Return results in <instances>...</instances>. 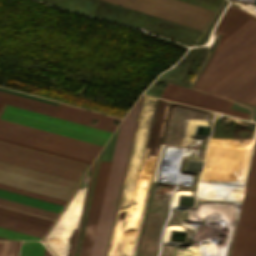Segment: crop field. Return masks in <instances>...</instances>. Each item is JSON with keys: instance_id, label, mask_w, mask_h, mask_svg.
Here are the masks:
<instances>
[{"instance_id": "crop-field-1", "label": "crop field", "mask_w": 256, "mask_h": 256, "mask_svg": "<svg viewBox=\"0 0 256 256\" xmlns=\"http://www.w3.org/2000/svg\"><path fill=\"white\" fill-rule=\"evenodd\" d=\"M217 46L195 88L256 106V18L231 6Z\"/></svg>"}, {"instance_id": "crop-field-2", "label": "crop field", "mask_w": 256, "mask_h": 256, "mask_svg": "<svg viewBox=\"0 0 256 256\" xmlns=\"http://www.w3.org/2000/svg\"><path fill=\"white\" fill-rule=\"evenodd\" d=\"M0 101L53 114L57 106L0 91ZM0 118L49 132L104 145L111 132L2 104ZM0 120V137L93 161L102 146Z\"/></svg>"}, {"instance_id": "crop-field-3", "label": "crop field", "mask_w": 256, "mask_h": 256, "mask_svg": "<svg viewBox=\"0 0 256 256\" xmlns=\"http://www.w3.org/2000/svg\"><path fill=\"white\" fill-rule=\"evenodd\" d=\"M141 97L120 126L91 256H105L106 253Z\"/></svg>"}, {"instance_id": "crop-field-4", "label": "crop field", "mask_w": 256, "mask_h": 256, "mask_svg": "<svg viewBox=\"0 0 256 256\" xmlns=\"http://www.w3.org/2000/svg\"><path fill=\"white\" fill-rule=\"evenodd\" d=\"M0 161L79 182L89 164L0 141Z\"/></svg>"}, {"instance_id": "crop-field-5", "label": "crop field", "mask_w": 256, "mask_h": 256, "mask_svg": "<svg viewBox=\"0 0 256 256\" xmlns=\"http://www.w3.org/2000/svg\"><path fill=\"white\" fill-rule=\"evenodd\" d=\"M203 30L214 11L178 0H107Z\"/></svg>"}, {"instance_id": "crop-field-6", "label": "crop field", "mask_w": 256, "mask_h": 256, "mask_svg": "<svg viewBox=\"0 0 256 256\" xmlns=\"http://www.w3.org/2000/svg\"><path fill=\"white\" fill-rule=\"evenodd\" d=\"M0 182L68 200L77 182L0 162Z\"/></svg>"}, {"instance_id": "crop-field-7", "label": "crop field", "mask_w": 256, "mask_h": 256, "mask_svg": "<svg viewBox=\"0 0 256 256\" xmlns=\"http://www.w3.org/2000/svg\"><path fill=\"white\" fill-rule=\"evenodd\" d=\"M240 215L256 218V148ZM240 216L231 256H255L256 220Z\"/></svg>"}, {"instance_id": "crop-field-8", "label": "crop field", "mask_w": 256, "mask_h": 256, "mask_svg": "<svg viewBox=\"0 0 256 256\" xmlns=\"http://www.w3.org/2000/svg\"><path fill=\"white\" fill-rule=\"evenodd\" d=\"M159 98L176 101L188 105H193L209 110H214L247 119L248 113L230 109L232 102L221 98L205 94L200 91L172 85L167 83V87L162 88Z\"/></svg>"}, {"instance_id": "crop-field-9", "label": "crop field", "mask_w": 256, "mask_h": 256, "mask_svg": "<svg viewBox=\"0 0 256 256\" xmlns=\"http://www.w3.org/2000/svg\"><path fill=\"white\" fill-rule=\"evenodd\" d=\"M111 162L101 161L79 256H90Z\"/></svg>"}, {"instance_id": "crop-field-10", "label": "crop field", "mask_w": 256, "mask_h": 256, "mask_svg": "<svg viewBox=\"0 0 256 256\" xmlns=\"http://www.w3.org/2000/svg\"><path fill=\"white\" fill-rule=\"evenodd\" d=\"M53 117L69 120L72 122H76V123H80L88 126H92L89 124L91 118L97 119L99 121L92 127L111 131V132H113V130L116 127V125L112 124L111 121L113 119L120 121V119L104 116L101 114L81 110L78 108H74V107H70L62 104H60V106L54 113Z\"/></svg>"}, {"instance_id": "crop-field-11", "label": "crop field", "mask_w": 256, "mask_h": 256, "mask_svg": "<svg viewBox=\"0 0 256 256\" xmlns=\"http://www.w3.org/2000/svg\"><path fill=\"white\" fill-rule=\"evenodd\" d=\"M0 227L10 230L18 231L21 233L29 234L32 236L40 237L48 230V226L24 221L21 219L5 216L0 214Z\"/></svg>"}, {"instance_id": "crop-field-12", "label": "crop field", "mask_w": 256, "mask_h": 256, "mask_svg": "<svg viewBox=\"0 0 256 256\" xmlns=\"http://www.w3.org/2000/svg\"><path fill=\"white\" fill-rule=\"evenodd\" d=\"M0 197L5 198V199H9V200H13V201H16V202L28 204V205H31V206L43 208V209H46V210L58 212V213H60V211L63 207L62 205L50 203V202H47V201L35 199V198H32V197L16 194V193L1 190V189H0Z\"/></svg>"}, {"instance_id": "crop-field-13", "label": "crop field", "mask_w": 256, "mask_h": 256, "mask_svg": "<svg viewBox=\"0 0 256 256\" xmlns=\"http://www.w3.org/2000/svg\"><path fill=\"white\" fill-rule=\"evenodd\" d=\"M0 188L1 189H5V190H9V191H13V192H16V193L32 196V197H35V198L47 200V201H50V202L62 204V205H64L65 202H66V200H62V199L50 197V196H47V195H43V194L27 191V190H24V189L8 186V185L1 184V183H0Z\"/></svg>"}, {"instance_id": "crop-field-14", "label": "crop field", "mask_w": 256, "mask_h": 256, "mask_svg": "<svg viewBox=\"0 0 256 256\" xmlns=\"http://www.w3.org/2000/svg\"><path fill=\"white\" fill-rule=\"evenodd\" d=\"M24 243L25 241L23 242L20 256H22ZM44 250L45 247L41 242L26 241L23 256H43Z\"/></svg>"}, {"instance_id": "crop-field-15", "label": "crop field", "mask_w": 256, "mask_h": 256, "mask_svg": "<svg viewBox=\"0 0 256 256\" xmlns=\"http://www.w3.org/2000/svg\"><path fill=\"white\" fill-rule=\"evenodd\" d=\"M0 203L8 205V206H12V207L20 208V209H23V210L39 213V214H42V215L54 217V218H56L58 216V213L46 211V210H43V209L31 207V206H28V205L16 203V202L5 200V199H1V198H0Z\"/></svg>"}, {"instance_id": "crop-field-16", "label": "crop field", "mask_w": 256, "mask_h": 256, "mask_svg": "<svg viewBox=\"0 0 256 256\" xmlns=\"http://www.w3.org/2000/svg\"><path fill=\"white\" fill-rule=\"evenodd\" d=\"M0 213L6 214V215H9V216H13V217H17V218H21V219H25V220H29V221H32V222L48 225V226H50L52 224V221L36 218V217H33V216L21 214V213H18V212H14V211L2 209V208H0Z\"/></svg>"}, {"instance_id": "crop-field-17", "label": "crop field", "mask_w": 256, "mask_h": 256, "mask_svg": "<svg viewBox=\"0 0 256 256\" xmlns=\"http://www.w3.org/2000/svg\"><path fill=\"white\" fill-rule=\"evenodd\" d=\"M0 236L9 239H19V240H40V238L28 236L25 234L13 232L10 230L0 228Z\"/></svg>"}, {"instance_id": "crop-field-18", "label": "crop field", "mask_w": 256, "mask_h": 256, "mask_svg": "<svg viewBox=\"0 0 256 256\" xmlns=\"http://www.w3.org/2000/svg\"><path fill=\"white\" fill-rule=\"evenodd\" d=\"M0 140H2V141H6V142H9V143H13V144H17V145H21V146L28 147V148H32V149H36V150H40V151H43V152H47V153H51V154H55V155H58V156H62V157H66V158H70V159H74V160H77V161H81V162H85V163H89V164H91V161H87V160H83V159H79V158L71 157V156H68V155H64V154H60V153H56V152H52V151H49V150H45V149H41V148H37V147H33V146H29V145H26V144H22V143H18V142L10 141V140L3 139V138H0Z\"/></svg>"}, {"instance_id": "crop-field-19", "label": "crop field", "mask_w": 256, "mask_h": 256, "mask_svg": "<svg viewBox=\"0 0 256 256\" xmlns=\"http://www.w3.org/2000/svg\"><path fill=\"white\" fill-rule=\"evenodd\" d=\"M0 207L54 221V218L38 215V214H35V213H31V212L23 211V210H20V209L4 206V205H1V204H0Z\"/></svg>"}, {"instance_id": "crop-field-20", "label": "crop field", "mask_w": 256, "mask_h": 256, "mask_svg": "<svg viewBox=\"0 0 256 256\" xmlns=\"http://www.w3.org/2000/svg\"><path fill=\"white\" fill-rule=\"evenodd\" d=\"M16 241H9L6 256H13Z\"/></svg>"}, {"instance_id": "crop-field-21", "label": "crop field", "mask_w": 256, "mask_h": 256, "mask_svg": "<svg viewBox=\"0 0 256 256\" xmlns=\"http://www.w3.org/2000/svg\"><path fill=\"white\" fill-rule=\"evenodd\" d=\"M8 241H0V256H5Z\"/></svg>"}, {"instance_id": "crop-field-22", "label": "crop field", "mask_w": 256, "mask_h": 256, "mask_svg": "<svg viewBox=\"0 0 256 256\" xmlns=\"http://www.w3.org/2000/svg\"><path fill=\"white\" fill-rule=\"evenodd\" d=\"M93 168H94V165H93ZM92 172H93V169H92ZM91 177H92V174H91ZM90 181H91V178H90ZM89 186H90V182H89ZM88 191H89V187H88ZM88 191H87V195H88ZM86 200H87V196H86ZM86 200H85V204H86ZM84 209H85V205H84ZM84 209H83V213H84ZM82 218H83V214H82ZM82 218H81V222H82ZM81 222H80V227H81ZM80 227H79V231H80ZM79 231H78V236H79ZM78 236H77V240H76V245H77V241H78ZM76 245H75L73 256L75 254Z\"/></svg>"}, {"instance_id": "crop-field-23", "label": "crop field", "mask_w": 256, "mask_h": 256, "mask_svg": "<svg viewBox=\"0 0 256 256\" xmlns=\"http://www.w3.org/2000/svg\"><path fill=\"white\" fill-rule=\"evenodd\" d=\"M20 241H17L14 256H17Z\"/></svg>"}, {"instance_id": "crop-field-24", "label": "crop field", "mask_w": 256, "mask_h": 256, "mask_svg": "<svg viewBox=\"0 0 256 256\" xmlns=\"http://www.w3.org/2000/svg\"><path fill=\"white\" fill-rule=\"evenodd\" d=\"M44 256H53V255L46 249Z\"/></svg>"}, {"instance_id": "crop-field-25", "label": "crop field", "mask_w": 256, "mask_h": 256, "mask_svg": "<svg viewBox=\"0 0 256 256\" xmlns=\"http://www.w3.org/2000/svg\"><path fill=\"white\" fill-rule=\"evenodd\" d=\"M0 239H5V238H1V237H0Z\"/></svg>"}]
</instances>
